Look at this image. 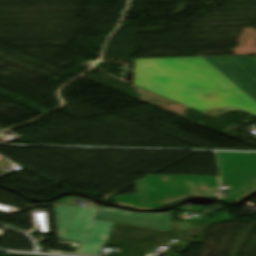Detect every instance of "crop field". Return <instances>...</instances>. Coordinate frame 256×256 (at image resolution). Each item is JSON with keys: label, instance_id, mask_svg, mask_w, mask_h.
Here are the masks:
<instances>
[{"label": "crop field", "instance_id": "crop-field-1", "mask_svg": "<svg viewBox=\"0 0 256 256\" xmlns=\"http://www.w3.org/2000/svg\"><path fill=\"white\" fill-rule=\"evenodd\" d=\"M137 195L110 198L117 204L150 209L171 205L187 196H210L218 189L217 176L151 175L136 183Z\"/></svg>", "mask_w": 256, "mask_h": 256}, {"label": "crop field", "instance_id": "crop-field-2", "mask_svg": "<svg viewBox=\"0 0 256 256\" xmlns=\"http://www.w3.org/2000/svg\"><path fill=\"white\" fill-rule=\"evenodd\" d=\"M133 84L198 111L229 107L219 97L199 101L162 59L134 60Z\"/></svg>", "mask_w": 256, "mask_h": 256}, {"label": "crop field", "instance_id": "crop-field-3", "mask_svg": "<svg viewBox=\"0 0 256 256\" xmlns=\"http://www.w3.org/2000/svg\"><path fill=\"white\" fill-rule=\"evenodd\" d=\"M163 60L199 100L219 96L229 106L252 100L203 57Z\"/></svg>", "mask_w": 256, "mask_h": 256}, {"label": "crop field", "instance_id": "crop-field-4", "mask_svg": "<svg viewBox=\"0 0 256 256\" xmlns=\"http://www.w3.org/2000/svg\"><path fill=\"white\" fill-rule=\"evenodd\" d=\"M106 245L121 247L117 256H145L147 250L178 240L186 228L181 222H172L170 232L114 223Z\"/></svg>", "mask_w": 256, "mask_h": 256}, {"label": "crop field", "instance_id": "crop-field-5", "mask_svg": "<svg viewBox=\"0 0 256 256\" xmlns=\"http://www.w3.org/2000/svg\"><path fill=\"white\" fill-rule=\"evenodd\" d=\"M222 184L229 187L225 202L232 203L256 189V154L217 152Z\"/></svg>", "mask_w": 256, "mask_h": 256}, {"label": "crop field", "instance_id": "crop-field-6", "mask_svg": "<svg viewBox=\"0 0 256 256\" xmlns=\"http://www.w3.org/2000/svg\"><path fill=\"white\" fill-rule=\"evenodd\" d=\"M97 210L54 206L58 237L99 241L112 223L94 220Z\"/></svg>", "mask_w": 256, "mask_h": 256}, {"label": "crop field", "instance_id": "crop-field-7", "mask_svg": "<svg viewBox=\"0 0 256 256\" xmlns=\"http://www.w3.org/2000/svg\"><path fill=\"white\" fill-rule=\"evenodd\" d=\"M256 101V57H204Z\"/></svg>", "mask_w": 256, "mask_h": 256}, {"label": "crop field", "instance_id": "crop-field-8", "mask_svg": "<svg viewBox=\"0 0 256 256\" xmlns=\"http://www.w3.org/2000/svg\"><path fill=\"white\" fill-rule=\"evenodd\" d=\"M172 218L173 216L166 214H135L115 209H99L95 219L169 231Z\"/></svg>", "mask_w": 256, "mask_h": 256}, {"label": "crop field", "instance_id": "crop-field-9", "mask_svg": "<svg viewBox=\"0 0 256 256\" xmlns=\"http://www.w3.org/2000/svg\"><path fill=\"white\" fill-rule=\"evenodd\" d=\"M185 224L188 225L189 232L177 244H175L170 250L167 251V255H169L171 252L181 253L187 248L185 246L190 244L191 242L202 244L207 234L209 225L197 223ZM190 236L197 237L200 240L191 239Z\"/></svg>", "mask_w": 256, "mask_h": 256}, {"label": "crop field", "instance_id": "crop-field-10", "mask_svg": "<svg viewBox=\"0 0 256 256\" xmlns=\"http://www.w3.org/2000/svg\"><path fill=\"white\" fill-rule=\"evenodd\" d=\"M63 239H66V238H63ZM68 240H75V239H68ZM76 241L82 242L81 247L75 251L79 253L100 255L105 245V243H102V242H93V241H84V240H76Z\"/></svg>", "mask_w": 256, "mask_h": 256}, {"label": "crop field", "instance_id": "crop-field-11", "mask_svg": "<svg viewBox=\"0 0 256 256\" xmlns=\"http://www.w3.org/2000/svg\"><path fill=\"white\" fill-rule=\"evenodd\" d=\"M256 116V102L254 100L231 106Z\"/></svg>", "mask_w": 256, "mask_h": 256}, {"label": "crop field", "instance_id": "crop-field-12", "mask_svg": "<svg viewBox=\"0 0 256 256\" xmlns=\"http://www.w3.org/2000/svg\"><path fill=\"white\" fill-rule=\"evenodd\" d=\"M167 214H173L174 213V211H172V212H166Z\"/></svg>", "mask_w": 256, "mask_h": 256}, {"label": "crop field", "instance_id": "crop-field-13", "mask_svg": "<svg viewBox=\"0 0 256 256\" xmlns=\"http://www.w3.org/2000/svg\"><path fill=\"white\" fill-rule=\"evenodd\" d=\"M100 207H106V206L100 205Z\"/></svg>", "mask_w": 256, "mask_h": 256}, {"label": "crop field", "instance_id": "crop-field-14", "mask_svg": "<svg viewBox=\"0 0 256 256\" xmlns=\"http://www.w3.org/2000/svg\"><path fill=\"white\" fill-rule=\"evenodd\" d=\"M0 130H3L2 128H0Z\"/></svg>", "mask_w": 256, "mask_h": 256}]
</instances>
